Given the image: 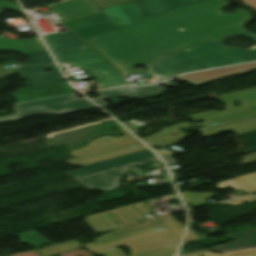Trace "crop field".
Returning a JSON list of instances; mask_svg holds the SVG:
<instances>
[{"label": "crop field", "mask_w": 256, "mask_h": 256, "mask_svg": "<svg viewBox=\"0 0 256 256\" xmlns=\"http://www.w3.org/2000/svg\"><path fill=\"white\" fill-rule=\"evenodd\" d=\"M230 4L227 0L204 1L85 41L124 76L138 75L141 73L134 65L243 29L250 13L239 8L235 13L221 14Z\"/></svg>", "instance_id": "crop-field-1"}, {"label": "crop field", "mask_w": 256, "mask_h": 256, "mask_svg": "<svg viewBox=\"0 0 256 256\" xmlns=\"http://www.w3.org/2000/svg\"><path fill=\"white\" fill-rule=\"evenodd\" d=\"M97 242L84 245L92 253L104 256H125L117 247L131 248V256H172L180 239L159 219L116 229L98 237ZM82 247L76 240L39 250L42 255L56 254Z\"/></svg>", "instance_id": "crop-field-2"}, {"label": "crop field", "mask_w": 256, "mask_h": 256, "mask_svg": "<svg viewBox=\"0 0 256 256\" xmlns=\"http://www.w3.org/2000/svg\"><path fill=\"white\" fill-rule=\"evenodd\" d=\"M204 0H134L67 22L84 39Z\"/></svg>", "instance_id": "crop-field-3"}, {"label": "crop field", "mask_w": 256, "mask_h": 256, "mask_svg": "<svg viewBox=\"0 0 256 256\" xmlns=\"http://www.w3.org/2000/svg\"><path fill=\"white\" fill-rule=\"evenodd\" d=\"M236 35L251 37L256 41L255 33L241 30L186 51L211 67L256 60V49H236L221 43L222 40Z\"/></svg>", "instance_id": "crop-field-4"}, {"label": "crop field", "mask_w": 256, "mask_h": 256, "mask_svg": "<svg viewBox=\"0 0 256 256\" xmlns=\"http://www.w3.org/2000/svg\"><path fill=\"white\" fill-rule=\"evenodd\" d=\"M91 108H96V106L85 98L76 99L74 94H71L15 105L14 109L17 114L0 117V123L46 113L64 114Z\"/></svg>", "instance_id": "crop-field-5"}, {"label": "crop field", "mask_w": 256, "mask_h": 256, "mask_svg": "<svg viewBox=\"0 0 256 256\" xmlns=\"http://www.w3.org/2000/svg\"><path fill=\"white\" fill-rule=\"evenodd\" d=\"M158 202L155 199L132 204L119 209L102 212L87 216V220L94 231L99 232L143 220H147L143 215L153 213L150 208Z\"/></svg>", "instance_id": "crop-field-6"}, {"label": "crop field", "mask_w": 256, "mask_h": 256, "mask_svg": "<svg viewBox=\"0 0 256 256\" xmlns=\"http://www.w3.org/2000/svg\"><path fill=\"white\" fill-rule=\"evenodd\" d=\"M220 99L223 103H228V110L213 111L190 118L194 121L204 119L205 122L199 125L208 126L256 115V88L221 96ZM240 100L246 105L234 108L232 103Z\"/></svg>", "instance_id": "crop-field-7"}, {"label": "crop field", "mask_w": 256, "mask_h": 256, "mask_svg": "<svg viewBox=\"0 0 256 256\" xmlns=\"http://www.w3.org/2000/svg\"><path fill=\"white\" fill-rule=\"evenodd\" d=\"M58 63L66 62L91 71L95 76L115 74L116 71L88 46L53 53Z\"/></svg>", "instance_id": "crop-field-8"}, {"label": "crop field", "mask_w": 256, "mask_h": 256, "mask_svg": "<svg viewBox=\"0 0 256 256\" xmlns=\"http://www.w3.org/2000/svg\"><path fill=\"white\" fill-rule=\"evenodd\" d=\"M146 66L155 75L160 74L161 77L159 79L182 72L209 68L185 50L146 64Z\"/></svg>", "instance_id": "crop-field-9"}, {"label": "crop field", "mask_w": 256, "mask_h": 256, "mask_svg": "<svg viewBox=\"0 0 256 256\" xmlns=\"http://www.w3.org/2000/svg\"><path fill=\"white\" fill-rule=\"evenodd\" d=\"M156 162H160V159L157 157L132 164H139L144 166ZM127 166L128 165L105 170L82 178H78V180L87 190L100 187L103 191H105L119 186L118 179L122 174H124L125 168Z\"/></svg>", "instance_id": "crop-field-10"}, {"label": "crop field", "mask_w": 256, "mask_h": 256, "mask_svg": "<svg viewBox=\"0 0 256 256\" xmlns=\"http://www.w3.org/2000/svg\"><path fill=\"white\" fill-rule=\"evenodd\" d=\"M155 156L156 155L153 152H151L149 149H147V150L119 156L116 158L108 159V160L101 161L98 163L90 164L87 166H83L82 167L83 169H80L78 171H72V172H64V174L75 179V178L82 177V176H85L88 174H92V173H95L98 171H102L105 169L129 164V163H132L135 161H139V160H143V159H147V158H151V157H155Z\"/></svg>", "instance_id": "crop-field-11"}, {"label": "crop field", "mask_w": 256, "mask_h": 256, "mask_svg": "<svg viewBox=\"0 0 256 256\" xmlns=\"http://www.w3.org/2000/svg\"><path fill=\"white\" fill-rule=\"evenodd\" d=\"M244 70H248V71L256 70V63L246 64V65H241V66H236V67H230V68L204 71V72H199V73H193V74L178 76V77H176V79L178 81L197 86V85H201V84L215 81L218 79L237 75Z\"/></svg>", "instance_id": "crop-field-12"}, {"label": "crop field", "mask_w": 256, "mask_h": 256, "mask_svg": "<svg viewBox=\"0 0 256 256\" xmlns=\"http://www.w3.org/2000/svg\"><path fill=\"white\" fill-rule=\"evenodd\" d=\"M50 8L59 14L62 23L101 12L90 0H73Z\"/></svg>", "instance_id": "crop-field-13"}, {"label": "crop field", "mask_w": 256, "mask_h": 256, "mask_svg": "<svg viewBox=\"0 0 256 256\" xmlns=\"http://www.w3.org/2000/svg\"><path fill=\"white\" fill-rule=\"evenodd\" d=\"M158 85L150 86V87H135V88H117L108 91H103L100 93L101 97L93 98L97 104L101 107L105 108L106 105L102 101L114 97V96H123L135 99H146L158 95H162L165 93L164 88Z\"/></svg>", "instance_id": "crop-field-14"}, {"label": "crop field", "mask_w": 256, "mask_h": 256, "mask_svg": "<svg viewBox=\"0 0 256 256\" xmlns=\"http://www.w3.org/2000/svg\"><path fill=\"white\" fill-rule=\"evenodd\" d=\"M19 90L20 93L12 94L18 103L68 94L72 93L74 89L69 84H58L31 88H20Z\"/></svg>", "instance_id": "crop-field-15"}, {"label": "crop field", "mask_w": 256, "mask_h": 256, "mask_svg": "<svg viewBox=\"0 0 256 256\" xmlns=\"http://www.w3.org/2000/svg\"><path fill=\"white\" fill-rule=\"evenodd\" d=\"M122 133H124L126 136L120 138H112L106 136L96 138L87 146L81 147L78 150L71 151V154L73 155V157H76L138 141L127 131H124Z\"/></svg>", "instance_id": "crop-field-16"}, {"label": "crop field", "mask_w": 256, "mask_h": 256, "mask_svg": "<svg viewBox=\"0 0 256 256\" xmlns=\"http://www.w3.org/2000/svg\"><path fill=\"white\" fill-rule=\"evenodd\" d=\"M143 149H147V147H145L141 143H137V144H131V145H126V146L102 151L99 153L91 154L88 156L76 158V159L65 161V162L70 165L83 166V165H87V164L94 163L97 161L105 160L108 158H112L115 156L131 153V152H135V151H139V150H143Z\"/></svg>", "instance_id": "crop-field-17"}, {"label": "crop field", "mask_w": 256, "mask_h": 256, "mask_svg": "<svg viewBox=\"0 0 256 256\" xmlns=\"http://www.w3.org/2000/svg\"><path fill=\"white\" fill-rule=\"evenodd\" d=\"M253 129H256V116L200 129L199 131L202 133L203 137H205L229 130L239 134Z\"/></svg>", "instance_id": "crop-field-18"}, {"label": "crop field", "mask_w": 256, "mask_h": 256, "mask_svg": "<svg viewBox=\"0 0 256 256\" xmlns=\"http://www.w3.org/2000/svg\"><path fill=\"white\" fill-rule=\"evenodd\" d=\"M43 38L45 39L52 52L86 45L69 29L66 33L45 35Z\"/></svg>", "instance_id": "crop-field-19"}, {"label": "crop field", "mask_w": 256, "mask_h": 256, "mask_svg": "<svg viewBox=\"0 0 256 256\" xmlns=\"http://www.w3.org/2000/svg\"><path fill=\"white\" fill-rule=\"evenodd\" d=\"M0 50L29 53L46 49L40 39L14 40L0 38Z\"/></svg>", "instance_id": "crop-field-20"}, {"label": "crop field", "mask_w": 256, "mask_h": 256, "mask_svg": "<svg viewBox=\"0 0 256 256\" xmlns=\"http://www.w3.org/2000/svg\"><path fill=\"white\" fill-rule=\"evenodd\" d=\"M254 177H256V173L222 181L219 182L217 186L218 188L232 187L237 191V193L241 191L252 193L256 192V180ZM250 182H252L253 184H251Z\"/></svg>", "instance_id": "crop-field-21"}, {"label": "crop field", "mask_w": 256, "mask_h": 256, "mask_svg": "<svg viewBox=\"0 0 256 256\" xmlns=\"http://www.w3.org/2000/svg\"><path fill=\"white\" fill-rule=\"evenodd\" d=\"M251 247H256V235L252 236V237L244 238V239H241V240H237V241H234V242H230V243H228L226 245H223V246H219V247H215V248H211V249H206V250L224 252V251L245 249V248H251ZM206 250H200V251H196V252H192V253H188V254H184V255H180V256H190V255L202 253Z\"/></svg>", "instance_id": "crop-field-22"}, {"label": "crop field", "mask_w": 256, "mask_h": 256, "mask_svg": "<svg viewBox=\"0 0 256 256\" xmlns=\"http://www.w3.org/2000/svg\"><path fill=\"white\" fill-rule=\"evenodd\" d=\"M64 77L60 74L42 76L34 79L26 80V87L30 86H38V85H46V84H57L64 83Z\"/></svg>", "instance_id": "crop-field-23"}, {"label": "crop field", "mask_w": 256, "mask_h": 256, "mask_svg": "<svg viewBox=\"0 0 256 256\" xmlns=\"http://www.w3.org/2000/svg\"><path fill=\"white\" fill-rule=\"evenodd\" d=\"M46 70H53V72L48 73V74H54V73L60 72L59 69L56 67V65L30 67L21 72V78L28 79V78H33V77H37V76H42V75H37V73L41 72V71H46ZM48 74H44V75H48Z\"/></svg>", "instance_id": "crop-field-24"}, {"label": "crop field", "mask_w": 256, "mask_h": 256, "mask_svg": "<svg viewBox=\"0 0 256 256\" xmlns=\"http://www.w3.org/2000/svg\"><path fill=\"white\" fill-rule=\"evenodd\" d=\"M21 238V241L23 243L31 244L33 247H40L43 246V244L49 242L46 239H44L42 236L37 234L35 231L23 233L17 235ZM40 236V237H37Z\"/></svg>", "instance_id": "crop-field-25"}, {"label": "crop field", "mask_w": 256, "mask_h": 256, "mask_svg": "<svg viewBox=\"0 0 256 256\" xmlns=\"http://www.w3.org/2000/svg\"><path fill=\"white\" fill-rule=\"evenodd\" d=\"M23 55L28 58L30 65L46 64V63L53 62V60L51 59L47 51L23 54Z\"/></svg>", "instance_id": "crop-field-26"}, {"label": "crop field", "mask_w": 256, "mask_h": 256, "mask_svg": "<svg viewBox=\"0 0 256 256\" xmlns=\"http://www.w3.org/2000/svg\"><path fill=\"white\" fill-rule=\"evenodd\" d=\"M185 202H191L196 205L206 203L204 200L205 198L213 195V193H190V192H182L181 193ZM205 205V204H204Z\"/></svg>", "instance_id": "crop-field-27"}, {"label": "crop field", "mask_w": 256, "mask_h": 256, "mask_svg": "<svg viewBox=\"0 0 256 256\" xmlns=\"http://www.w3.org/2000/svg\"><path fill=\"white\" fill-rule=\"evenodd\" d=\"M100 89L127 84L120 74L97 80Z\"/></svg>", "instance_id": "crop-field-28"}, {"label": "crop field", "mask_w": 256, "mask_h": 256, "mask_svg": "<svg viewBox=\"0 0 256 256\" xmlns=\"http://www.w3.org/2000/svg\"><path fill=\"white\" fill-rule=\"evenodd\" d=\"M173 233L181 238L184 227L172 216H165L159 218Z\"/></svg>", "instance_id": "crop-field-29"}, {"label": "crop field", "mask_w": 256, "mask_h": 256, "mask_svg": "<svg viewBox=\"0 0 256 256\" xmlns=\"http://www.w3.org/2000/svg\"><path fill=\"white\" fill-rule=\"evenodd\" d=\"M189 126H191V125L188 124L187 122H184V123H181V124H178V125H174V126L166 128L163 131H160L158 133L152 134L149 137L143 138V140H148V139H152V138H156V137H160V136H164V135L180 132L179 128L189 127ZM184 131H186V130H184Z\"/></svg>", "instance_id": "crop-field-30"}, {"label": "crop field", "mask_w": 256, "mask_h": 256, "mask_svg": "<svg viewBox=\"0 0 256 256\" xmlns=\"http://www.w3.org/2000/svg\"><path fill=\"white\" fill-rule=\"evenodd\" d=\"M239 135L242 136V138L247 146V150L256 147V130L246 132L243 134H239Z\"/></svg>", "instance_id": "crop-field-31"}, {"label": "crop field", "mask_w": 256, "mask_h": 256, "mask_svg": "<svg viewBox=\"0 0 256 256\" xmlns=\"http://www.w3.org/2000/svg\"><path fill=\"white\" fill-rule=\"evenodd\" d=\"M94 2L100 9L122 4L131 0H91Z\"/></svg>", "instance_id": "crop-field-32"}, {"label": "crop field", "mask_w": 256, "mask_h": 256, "mask_svg": "<svg viewBox=\"0 0 256 256\" xmlns=\"http://www.w3.org/2000/svg\"><path fill=\"white\" fill-rule=\"evenodd\" d=\"M223 256H256V248L225 252Z\"/></svg>", "instance_id": "crop-field-33"}, {"label": "crop field", "mask_w": 256, "mask_h": 256, "mask_svg": "<svg viewBox=\"0 0 256 256\" xmlns=\"http://www.w3.org/2000/svg\"><path fill=\"white\" fill-rule=\"evenodd\" d=\"M253 200H256V195L240 197V198L233 199L231 201L220 202L219 204H230V205L234 206L236 204L245 203V202H249V201H253Z\"/></svg>", "instance_id": "crop-field-34"}, {"label": "crop field", "mask_w": 256, "mask_h": 256, "mask_svg": "<svg viewBox=\"0 0 256 256\" xmlns=\"http://www.w3.org/2000/svg\"><path fill=\"white\" fill-rule=\"evenodd\" d=\"M6 9L13 10L15 12L21 13V10L18 5L12 3V2H7V1H0V12Z\"/></svg>", "instance_id": "crop-field-35"}, {"label": "crop field", "mask_w": 256, "mask_h": 256, "mask_svg": "<svg viewBox=\"0 0 256 256\" xmlns=\"http://www.w3.org/2000/svg\"><path fill=\"white\" fill-rule=\"evenodd\" d=\"M235 240L256 234V229L229 233Z\"/></svg>", "instance_id": "crop-field-36"}, {"label": "crop field", "mask_w": 256, "mask_h": 256, "mask_svg": "<svg viewBox=\"0 0 256 256\" xmlns=\"http://www.w3.org/2000/svg\"><path fill=\"white\" fill-rule=\"evenodd\" d=\"M199 239L201 238L189 228L187 231L184 243L199 240Z\"/></svg>", "instance_id": "crop-field-37"}, {"label": "crop field", "mask_w": 256, "mask_h": 256, "mask_svg": "<svg viewBox=\"0 0 256 256\" xmlns=\"http://www.w3.org/2000/svg\"><path fill=\"white\" fill-rule=\"evenodd\" d=\"M182 134H183V133H182ZM178 135H180V134H178ZM178 135H175V136H178ZM175 136L171 135V136L164 137V138H160V139H155V140H151V141H146L145 143L148 144L149 146H151V145H154V144H156V143H159V142H162V141H164V140H167V139H170V138H172V137H175Z\"/></svg>", "instance_id": "crop-field-38"}, {"label": "crop field", "mask_w": 256, "mask_h": 256, "mask_svg": "<svg viewBox=\"0 0 256 256\" xmlns=\"http://www.w3.org/2000/svg\"><path fill=\"white\" fill-rule=\"evenodd\" d=\"M242 1L245 5L256 11V0H238Z\"/></svg>", "instance_id": "crop-field-39"}, {"label": "crop field", "mask_w": 256, "mask_h": 256, "mask_svg": "<svg viewBox=\"0 0 256 256\" xmlns=\"http://www.w3.org/2000/svg\"><path fill=\"white\" fill-rule=\"evenodd\" d=\"M184 136H186V135L183 134V135H180V136H178V137L172 138V139H170V140L164 141V142L159 143V144H156V145H168V144H170V143H173V142L178 141L180 138H182V137H184ZM151 147H152V146H151Z\"/></svg>", "instance_id": "crop-field-40"}, {"label": "crop field", "mask_w": 256, "mask_h": 256, "mask_svg": "<svg viewBox=\"0 0 256 256\" xmlns=\"http://www.w3.org/2000/svg\"><path fill=\"white\" fill-rule=\"evenodd\" d=\"M161 157H163L168 164L176 162L171 158L169 154L161 155Z\"/></svg>", "instance_id": "crop-field-41"}, {"label": "crop field", "mask_w": 256, "mask_h": 256, "mask_svg": "<svg viewBox=\"0 0 256 256\" xmlns=\"http://www.w3.org/2000/svg\"><path fill=\"white\" fill-rule=\"evenodd\" d=\"M194 256H222V253L221 254H214V253H211V252L207 251L205 253L194 255Z\"/></svg>", "instance_id": "crop-field-42"}, {"label": "crop field", "mask_w": 256, "mask_h": 256, "mask_svg": "<svg viewBox=\"0 0 256 256\" xmlns=\"http://www.w3.org/2000/svg\"><path fill=\"white\" fill-rule=\"evenodd\" d=\"M246 152H247V154H248V153H252V152H256V149L248 150V151H246Z\"/></svg>", "instance_id": "crop-field-43"}, {"label": "crop field", "mask_w": 256, "mask_h": 256, "mask_svg": "<svg viewBox=\"0 0 256 256\" xmlns=\"http://www.w3.org/2000/svg\"><path fill=\"white\" fill-rule=\"evenodd\" d=\"M61 1H63V0H61Z\"/></svg>", "instance_id": "crop-field-44"}]
</instances>
